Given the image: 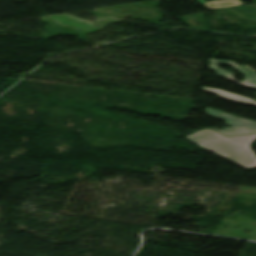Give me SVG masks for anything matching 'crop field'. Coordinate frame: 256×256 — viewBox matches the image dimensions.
Masks as SVG:
<instances>
[{
  "instance_id": "3",
  "label": "crop field",
  "mask_w": 256,
  "mask_h": 256,
  "mask_svg": "<svg viewBox=\"0 0 256 256\" xmlns=\"http://www.w3.org/2000/svg\"><path fill=\"white\" fill-rule=\"evenodd\" d=\"M210 62H211L210 69L216 71L219 76L225 77L241 86H247V87L256 89V72L253 69H251L250 67L240 66L233 61L211 59ZM219 64H225V65L232 66L235 70L240 72L245 77V80L243 82H240V81L232 79L234 74L217 68Z\"/></svg>"
},
{
  "instance_id": "1",
  "label": "crop field",
  "mask_w": 256,
  "mask_h": 256,
  "mask_svg": "<svg viewBox=\"0 0 256 256\" xmlns=\"http://www.w3.org/2000/svg\"><path fill=\"white\" fill-rule=\"evenodd\" d=\"M256 134L226 137L210 129L187 136V139L201 147L229 159L250 170L256 168V156L250 150V143Z\"/></svg>"
},
{
  "instance_id": "5",
  "label": "crop field",
  "mask_w": 256,
  "mask_h": 256,
  "mask_svg": "<svg viewBox=\"0 0 256 256\" xmlns=\"http://www.w3.org/2000/svg\"><path fill=\"white\" fill-rule=\"evenodd\" d=\"M199 1L202 4H204L208 9L226 8V7L243 5V3L240 2L241 0H222V1L213 0L214 2H211V3H207L204 0H199Z\"/></svg>"
},
{
  "instance_id": "4",
  "label": "crop field",
  "mask_w": 256,
  "mask_h": 256,
  "mask_svg": "<svg viewBox=\"0 0 256 256\" xmlns=\"http://www.w3.org/2000/svg\"><path fill=\"white\" fill-rule=\"evenodd\" d=\"M201 88L206 92L216 94L219 97L224 98L226 100L235 101V102H239V103H243V104L256 105V102H254L253 100H251L249 98H246V97L234 95V94L227 93V92L220 91V90H216V89H209V88H205V87H201Z\"/></svg>"
},
{
  "instance_id": "2",
  "label": "crop field",
  "mask_w": 256,
  "mask_h": 256,
  "mask_svg": "<svg viewBox=\"0 0 256 256\" xmlns=\"http://www.w3.org/2000/svg\"><path fill=\"white\" fill-rule=\"evenodd\" d=\"M205 111L208 116L212 118L227 121L226 124L230 125L232 128L223 131L213 128L214 130L219 131L225 135L256 132V122L254 121L237 118L224 112L213 110L210 108L205 109Z\"/></svg>"
}]
</instances>
